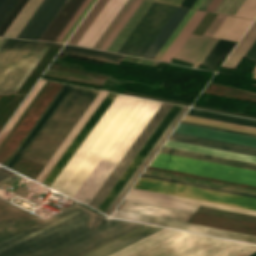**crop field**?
Instances as JSON below:
<instances>
[{"mask_svg": "<svg viewBox=\"0 0 256 256\" xmlns=\"http://www.w3.org/2000/svg\"><path fill=\"white\" fill-rule=\"evenodd\" d=\"M160 105L118 95L51 188L88 204Z\"/></svg>", "mask_w": 256, "mask_h": 256, "instance_id": "crop-field-1", "label": "crop field"}, {"mask_svg": "<svg viewBox=\"0 0 256 256\" xmlns=\"http://www.w3.org/2000/svg\"><path fill=\"white\" fill-rule=\"evenodd\" d=\"M256 246L164 228L110 256H249Z\"/></svg>", "mask_w": 256, "mask_h": 256, "instance_id": "crop-field-2", "label": "crop field"}, {"mask_svg": "<svg viewBox=\"0 0 256 256\" xmlns=\"http://www.w3.org/2000/svg\"><path fill=\"white\" fill-rule=\"evenodd\" d=\"M102 217L75 205L0 242V256H24Z\"/></svg>", "mask_w": 256, "mask_h": 256, "instance_id": "crop-field-3", "label": "crop field"}, {"mask_svg": "<svg viewBox=\"0 0 256 256\" xmlns=\"http://www.w3.org/2000/svg\"><path fill=\"white\" fill-rule=\"evenodd\" d=\"M97 93L73 86L22 158L44 165Z\"/></svg>", "mask_w": 256, "mask_h": 256, "instance_id": "crop-field-4", "label": "crop field"}, {"mask_svg": "<svg viewBox=\"0 0 256 256\" xmlns=\"http://www.w3.org/2000/svg\"><path fill=\"white\" fill-rule=\"evenodd\" d=\"M141 225L105 217L27 256H80Z\"/></svg>", "mask_w": 256, "mask_h": 256, "instance_id": "crop-field-5", "label": "crop field"}, {"mask_svg": "<svg viewBox=\"0 0 256 256\" xmlns=\"http://www.w3.org/2000/svg\"><path fill=\"white\" fill-rule=\"evenodd\" d=\"M6 39L1 38L0 47ZM51 43L7 39L0 49V94L13 90L43 45Z\"/></svg>", "mask_w": 256, "mask_h": 256, "instance_id": "crop-field-6", "label": "crop field"}, {"mask_svg": "<svg viewBox=\"0 0 256 256\" xmlns=\"http://www.w3.org/2000/svg\"><path fill=\"white\" fill-rule=\"evenodd\" d=\"M150 165L256 185V171L203 162L188 158L158 153Z\"/></svg>", "mask_w": 256, "mask_h": 256, "instance_id": "crop-field-7", "label": "crop field"}, {"mask_svg": "<svg viewBox=\"0 0 256 256\" xmlns=\"http://www.w3.org/2000/svg\"><path fill=\"white\" fill-rule=\"evenodd\" d=\"M134 188L182 196L256 211V199L140 177Z\"/></svg>", "mask_w": 256, "mask_h": 256, "instance_id": "crop-field-8", "label": "crop field"}, {"mask_svg": "<svg viewBox=\"0 0 256 256\" xmlns=\"http://www.w3.org/2000/svg\"><path fill=\"white\" fill-rule=\"evenodd\" d=\"M176 9L153 2L118 52L142 57Z\"/></svg>", "mask_w": 256, "mask_h": 256, "instance_id": "crop-field-9", "label": "crop field"}, {"mask_svg": "<svg viewBox=\"0 0 256 256\" xmlns=\"http://www.w3.org/2000/svg\"><path fill=\"white\" fill-rule=\"evenodd\" d=\"M172 107L171 104H165L162 103V105L159 107V109L156 111L154 116L151 118V120L148 122L146 127L143 129V131L140 133L138 138L135 140V142L132 144L130 149L127 151V153L124 155V157L121 159L119 164L116 166V168L113 170L111 175L108 177V179L105 181L103 186L100 188V190L97 192L95 197L92 199V201L89 203V206L97 209V207L100 205V203L103 201V199L106 197L108 192L111 190V188L114 186V184L117 182L119 177L122 175V173L125 171V169L128 167L130 162L133 160V158L136 156V154L139 152L141 147L144 145V143L147 141V139L150 137L152 132L155 130V128L158 126V124L161 122L163 117L166 115V113L169 111V109Z\"/></svg>", "mask_w": 256, "mask_h": 256, "instance_id": "crop-field-10", "label": "crop field"}, {"mask_svg": "<svg viewBox=\"0 0 256 256\" xmlns=\"http://www.w3.org/2000/svg\"><path fill=\"white\" fill-rule=\"evenodd\" d=\"M126 200L194 213L199 205L256 215L255 211L131 188Z\"/></svg>", "mask_w": 256, "mask_h": 256, "instance_id": "crop-field-11", "label": "crop field"}, {"mask_svg": "<svg viewBox=\"0 0 256 256\" xmlns=\"http://www.w3.org/2000/svg\"><path fill=\"white\" fill-rule=\"evenodd\" d=\"M112 216L153 223L157 225L167 226V227L186 230V231H192V232H197L202 234H208V235H213L218 237L256 243V236L232 232V231H226V230H221V229H216V228H211V227H206V226H201V225H196L191 223L178 222V221L146 216L141 214H135V213L119 211V210H116Z\"/></svg>", "mask_w": 256, "mask_h": 256, "instance_id": "crop-field-12", "label": "crop field"}, {"mask_svg": "<svg viewBox=\"0 0 256 256\" xmlns=\"http://www.w3.org/2000/svg\"><path fill=\"white\" fill-rule=\"evenodd\" d=\"M180 109H181L180 106L173 105V107L170 109V111L164 117L162 122L159 124V126L156 128V130L153 132L151 137L148 139V141L142 147L140 152L137 154V156L131 162L129 167L126 169V171L120 177L118 182L115 184V186L109 192V194L107 195V197L104 199V201L101 203V205L98 207L97 210L104 213V211L107 209V207L110 205V203L116 197V195L119 193L121 188L124 186V184L130 178V176L133 174L135 169L138 167V165L141 163V161L144 159V157L147 155V153L150 151L152 146L155 144V142L158 140V138L161 136V134L164 132L166 127L169 125V123L172 121V119L175 117V115L178 113V111Z\"/></svg>", "mask_w": 256, "mask_h": 256, "instance_id": "crop-field-13", "label": "crop field"}, {"mask_svg": "<svg viewBox=\"0 0 256 256\" xmlns=\"http://www.w3.org/2000/svg\"><path fill=\"white\" fill-rule=\"evenodd\" d=\"M117 96V94L108 93V95L105 97V99L102 101V103L99 105V107L96 109L94 114L91 116V118L88 120V122L85 124V126L82 128L80 133L77 135V137L74 139V141L71 143L69 148L66 150V152L63 154V156L60 158V160L57 162L55 167L52 169V171L49 173V175L46 177V179L43 181V184L50 187V185L53 183V181L56 179V177L59 175L61 170L64 168V166L67 164V162L70 160L72 155L75 153V151L78 149V147L81 145L83 140L86 138V136L89 134V132L92 130V128L95 126L97 121L100 119V117L103 115V113L106 111L108 106L111 104V102L114 100V98Z\"/></svg>", "mask_w": 256, "mask_h": 256, "instance_id": "crop-field-14", "label": "crop field"}, {"mask_svg": "<svg viewBox=\"0 0 256 256\" xmlns=\"http://www.w3.org/2000/svg\"><path fill=\"white\" fill-rule=\"evenodd\" d=\"M40 221L42 220L0 200V241Z\"/></svg>", "mask_w": 256, "mask_h": 256, "instance_id": "crop-field-15", "label": "crop field"}, {"mask_svg": "<svg viewBox=\"0 0 256 256\" xmlns=\"http://www.w3.org/2000/svg\"><path fill=\"white\" fill-rule=\"evenodd\" d=\"M66 0H44L17 37L38 40Z\"/></svg>", "mask_w": 256, "mask_h": 256, "instance_id": "crop-field-16", "label": "crop field"}, {"mask_svg": "<svg viewBox=\"0 0 256 256\" xmlns=\"http://www.w3.org/2000/svg\"><path fill=\"white\" fill-rule=\"evenodd\" d=\"M126 1L109 0L77 45L93 48Z\"/></svg>", "mask_w": 256, "mask_h": 256, "instance_id": "crop-field-17", "label": "crop field"}, {"mask_svg": "<svg viewBox=\"0 0 256 256\" xmlns=\"http://www.w3.org/2000/svg\"><path fill=\"white\" fill-rule=\"evenodd\" d=\"M106 95H107L106 92L99 91V93L96 95V97L90 103L88 108L85 110V112L79 118L77 123L74 125V127L71 129V131L68 133L66 138L63 140V142L57 148L55 153L52 155V157L49 159V161L46 163V165L38 173V175L35 178V179H37V181L42 183V181L45 179V177L48 175V173L54 167L56 162L59 160V158L65 152V150L68 148L70 143L73 141V139L79 133L81 128L84 126V124L87 122V120L90 118V116L93 114L95 109L98 107V105L101 103V101L104 99V97Z\"/></svg>", "mask_w": 256, "mask_h": 256, "instance_id": "crop-field-18", "label": "crop field"}, {"mask_svg": "<svg viewBox=\"0 0 256 256\" xmlns=\"http://www.w3.org/2000/svg\"><path fill=\"white\" fill-rule=\"evenodd\" d=\"M217 41L216 38L191 34L175 59L192 63L197 67L201 65Z\"/></svg>", "mask_w": 256, "mask_h": 256, "instance_id": "crop-field-19", "label": "crop field"}, {"mask_svg": "<svg viewBox=\"0 0 256 256\" xmlns=\"http://www.w3.org/2000/svg\"><path fill=\"white\" fill-rule=\"evenodd\" d=\"M160 229H162V227L143 225L82 256H108Z\"/></svg>", "mask_w": 256, "mask_h": 256, "instance_id": "crop-field-20", "label": "crop field"}, {"mask_svg": "<svg viewBox=\"0 0 256 256\" xmlns=\"http://www.w3.org/2000/svg\"><path fill=\"white\" fill-rule=\"evenodd\" d=\"M188 110L186 107H182V109L179 111V113L176 115V117L173 119V121L170 123V125L167 127L165 132L162 134V136L159 138V140L156 142V144L153 146L151 151L148 153V155L145 157V159L142 161V163L139 165V167L136 169L134 174L131 176V178L128 180V182L125 184V186L122 188L120 193L117 195V197L114 199V201L111 203V205L108 207V209L105 211V214L109 215L113 212V210L116 208V206L119 204L121 199L124 197V195L127 193V191L130 189L132 184L135 182V180L138 178V176L141 174L143 169L146 167V165L149 163V161L152 159V157L155 155L157 150L160 148V146L163 144V142L166 140L168 135L171 133V131L174 129V127L177 125L179 120L182 118V116L185 114V112Z\"/></svg>", "mask_w": 256, "mask_h": 256, "instance_id": "crop-field-21", "label": "crop field"}, {"mask_svg": "<svg viewBox=\"0 0 256 256\" xmlns=\"http://www.w3.org/2000/svg\"><path fill=\"white\" fill-rule=\"evenodd\" d=\"M71 88H72L71 85L64 84V86L61 88L59 93L56 95V97L53 99L51 104L48 106V108L45 110L43 115L40 117L38 122L35 124V126L32 128L30 133L27 135L25 140L19 146L17 151L14 153L12 158L6 164V167L12 169V167L15 165V163L18 161V159L24 153L26 148L29 146V144L32 142V140L35 138V136L38 134V132L43 127V125L46 123V121L49 119V117L52 115V113L55 111L57 106L60 104V102L63 100V98L66 96V94L69 92V90Z\"/></svg>", "mask_w": 256, "mask_h": 256, "instance_id": "crop-field-22", "label": "crop field"}, {"mask_svg": "<svg viewBox=\"0 0 256 256\" xmlns=\"http://www.w3.org/2000/svg\"><path fill=\"white\" fill-rule=\"evenodd\" d=\"M176 132L256 146V137L179 123Z\"/></svg>", "mask_w": 256, "mask_h": 256, "instance_id": "crop-field-23", "label": "crop field"}, {"mask_svg": "<svg viewBox=\"0 0 256 256\" xmlns=\"http://www.w3.org/2000/svg\"><path fill=\"white\" fill-rule=\"evenodd\" d=\"M169 139L202 145V146L213 147V148H219V149H224L229 151L256 155V147H250V146L229 143V142H224L219 140H213V139H208L203 137H197V136H192L187 134L173 132L172 135L169 137Z\"/></svg>", "mask_w": 256, "mask_h": 256, "instance_id": "crop-field-24", "label": "crop field"}, {"mask_svg": "<svg viewBox=\"0 0 256 256\" xmlns=\"http://www.w3.org/2000/svg\"><path fill=\"white\" fill-rule=\"evenodd\" d=\"M119 210H125L130 212H136L141 214H147L157 217H163L168 219H174L179 221L187 222L188 219L191 217V213L131 202L123 200L121 205L118 207Z\"/></svg>", "mask_w": 256, "mask_h": 256, "instance_id": "crop-field-25", "label": "crop field"}, {"mask_svg": "<svg viewBox=\"0 0 256 256\" xmlns=\"http://www.w3.org/2000/svg\"><path fill=\"white\" fill-rule=\"evenodd\" d=\"M84 0H68L39 40L54 41Z\"/></svg>", "mask_w": 256, "mask_h": 256, "instance_id": "crop-field-26", "label": "crop field"}, {"mask_svg": "<svg viewBox=\"0 0 256 256\" xmlns=\"http://www.w3.org/2000/svg\"><path fill=\"white\" fill-rule=\"evenodd\" d=\"M160 152L166 153V154L182 156V157L198 159V160H203V161L224 164V165H230V166H235V167H240V168L256 170L255 163L239 161V160H234V159H229V158H224V157H218V156L202 154V153H197V152H192V151H186V150H181V149H176V148H170V147H165V146H162Z\"/></svg>", "mask_w": 256, "mask_h": 256, "instance_id": "crop-field-27", "label": "crop field"}, {"mask_svg": "<svg viewBox=\"0 0 256 256\" xmlns=\"http://www.w3.org/2000/svg\"><path fill=\"white\" fill-rule=\"evenodd\" d=\"M188 11L187 8L178 7L143 57L154 59Z\"/></svg>", "mask_w": 256, "mask_h": 256, "instance_id": "crop-field-28", "label": "crop field"}, {"mask_svg": "<svg viewBox=\"0 0 256 256\" xmlns=\"http://www.w3.org/2000/svg\"><path fill=\"white\" fill-rule=\"evenodd\" d=\"M60 53L80 56V57H85V58H90V59H95L100 61H106V62H111L116 64H119L124 57V55H121V54L110 53V52L78 47L73 45H65V47L61 50Z\"/></svg>", "mask_w": 256, "mask_h": 256, "instance_id": "crop-field-29", "label": "crop field"}, {"mask_svg": "<svg viewBox=\"0 0 256 256\" xmlns=\"http://www.w3.org/2000/svg\"><path fill=\"white\" fill-rule=\"evenodd\" d=\"M206 14L205 11H199L196 10V12L193 14V16L190 18L188 23L185 25V27L182 29L180 34L177 36L175 41L172 43V45L169 47L167 52L164 54V56L161 58L162 61L171 62V60L174 58V56L177 54L179 49L182 47V45L185 43L187 38L190 36L192 31L195 29V27L198 25L200 20L203 18V16Z\"/></svg>", "mask_w": 256, "mask_h": 256, "instance_id": "crop-field-30", "label": "crop field"}, {"mask_svg": "<svg viewBox=\"0 0 256 256\" xmlns=\"http://www.w3.org/2000/svg\"><path fill=\"white\" fill-rule=\"evenodd\" d=\"M252 21L227 16L214 37L238 41Z\"/></svg>", "mask_w": 256, "mask_h": 256, "instance_id": "crop-field-31", "label": "crop field"}, {"mask_svg": "<svg viewBox=\"0 0 256 256\" xmlns=\"http://www.w3.org/2000/svg\"><path fill=\"white\" fill-rule=\"evenodd\" d=\"M151 4H152L151 1L143 0V2L140 4V6L137 8V10L134 12V14L131 16V18L128 20V22L125 24V26L119 32V34L116 36V38L110 44V46L107 48L108 51L117 52V50L123 44L125 39L131 33L133 28L136 26L138 21L141 19V17L144 15V13L146 12V10L149 8V6Z\"/></svg>", "mask_w": 256, "mask_h": 256, "instance_id": "crop-field-32", "label": "crop field"}, {"mask_svg": "<svg viewBox=\"0 0 256 256\" xmlns=\"http://www.w3.org/2000/svg\"><path fill=\"white\" fill-rule=\"evenodd\" d=\"M256 39V20L242 37L240 42L228 56L226 61L223 63V67L234 69L249 47Z\"/></svg>", "mask_w": 256, "mask_h": 256, "instance_id": "crop-field-33", "label": "crop field"}, {"mask_svg": "<svg viewBox=\"0 0 256 256\" xmlns=\"http://www.w3.org/2000/svg\"><path fill=\"white\" fill-rule=\"evenodd\" d=\"M164 145L165 146H170V147L186 149V150L202 152V153L218 155V156H224V157H229V158H234V159H240V160H245V161H250V162H255L256 163V156H251V155H246V154L229 152V151L213 149V148H208V147H202V146L186 144V143L170 141V140H167Z\"/></svg>", "mask_w": 256, "mask_h": 256, "instance_id": "crop-field-34", "label": "crop field"}, {"mask_svg": "<svg viewBox=\"0 0 256 256\" xmlns=\"http://www.w3.org/2000/svg\"><path fill=\"white\" fill-rule=\"evenodd\" d=\"M42 1L43 0H28L3 36L16 37Z\"/></svg>", "mask_w": 256, "mask_h": 256, "instance_id": "crop-field-35", "label": "crop field"}, {"mask_svg": "<svg viewBox=\"0 0 256 256\" xmlns=\"http://www.w3.org/2000/svg\"><path fill=\"white\" fill-rule=\"evenodd\" d=\"M235 42L219 39L205 61L202 63L207 69L214 70L218 68L222 60L228 55L235 46Z\"/></svg>", "mask_w": 256, "mask_h": 256, "instance_id": "crop-field-36", "label": "crop field"}, {"mask_svg": "<svg viewBox=\"0 0 256 256\" xmlns=\"http://www.w3.org/2000/svg\"><path fill=\"white\" fill-rule=\"evenodd\" d=\"M183 120L256 134V128L247 127V126H241V125L225 123V122H220V121H215V120H209V119H204V118H199V117H193V116H188V115H185Z\"/></svg>", "mask_w": 256, "mask_h": 256, "instance_id": "crop-field-37", "label": "crop field"}, {"mask_svg": "<svg viewBox=\"0 0 256 256\" xmlns=\"http://www.w3.org/2000/svg\"><path fill=\"white\" fill-rule=\"evenodd\" d=\"M108 0H98L95 6L92 8V10L89 12L87 17L84 19L82 24L79 26V28L76 30L74 35L71 37V39L68 41L69 44L76 45V43L79 41V39L82 37L84 32L87 30V28L90 26L92 21L95 19L97 14L100 12V10L103 8L105 3Z\"/></svg>", "mask_w": 256, "mask_h": 256, "instance_id": "crop-field-38", "label": "crop field"}, {"mask_svg": "<svg viewBox=\"0 0 256 256\" xmlns=\"http://www.w3.org/2000/svg\"><path fill=\"white\" fill-rule=\"evenodd\" d=\"M191 109L198 110V109H193V108H191ZM192 110H189V112H188L189 115L200 116V117H205V118H210V119H216V120L256 127V122H251V121H256V120L246 119V118H241V117H236V116H230V115H225V114H220V113H214V112H209V111H204V110H198V111H203V112H208V113H214V114H219V115H224V116H230V117H235V118H240V119L251 120V121H246V120H240V119L224 117V116H219V115H214V114H208V113H203V112H198V111H192Z\"/></svg>", "mask_w": 256, "mask_h": 256, "instance_id": "crop-field-39", "label": "crop field"}, {"mask_svg": "<svg viewBox=\"0 0 256 256\" xmlns=\"http://www.w3.org/2000/svg\"><path fill=\"white\" fill-rule=\"evenodd\" d=\"M27 0H16V2L13 4L11 9L8 11L6 16L3 18V20L0 22V36L5 32V30L8 28L10 23L13 21V19L16 17L18 12L21 10L23 5L26 3Z\"/></svg>", "mask_w": 256, "mask_h": 256, "instance_id": "crop-field-40", "label": "crop field"}, {"mask_svg": "<svg viewBox=\"0 0 256 256\" xmlns=\"http://www.w3.org/2000/svg\"><path fill=\"white\" fill-rule=\"evenodd\" d=\"M244 1L245 0H222L214 12L234 16Z\"/></svg>", "mask_w": 256, "mask_h": 256, "instance_id": "crop-field-41", "label": "crop field"}, {"mask_svg": "<svg viewBox=\"0 0 256 256\" xmlns=\"http://www.w3.org/2000/svg\"><path fill=\"white\" fill-rule=\"evenodd\" d=\"M142 2V0H136L133 5L130 7L128 12L125 14V16L122 18L120 23L117 25L115 30L112 32V34L109 36L107 41L104 43V45L101 47V49L106 50V48L109 46V44L112 42V40L115 38V36L118 34V32L121 30V28L124 26V24L127 22V20L130 18V16L133 14V12L136 10V8L139 6V4Z\"/></svg>", "mask_w": 256, "mask_h": 256, "instance_id": "crop-field-42", "label": "crop field"}, {"mask_svg": "<svg viewBox=\"0 0 256 256\" xmlns=\"http://www.w3.org/2000/svg\"><path fill=\"white\" fill-rule=\"evenodd\" d=\"M195 12V10L190 9V11L187 13V15L184 17V19L182 20V22L179 24V26L176 28V30L174 31V33L171 35V37L169 38V40L166 42V44L163 46V48L161 49V51L158 53V55L155 57V59L160 60V58L163 56V54L166 52V50L168 49V47L171 45V43L174 41V39L176 38V36L179 34V32L181 31V29L184 27V25L187 23V21L189 20V18L192 16V14Z\"/></svg>", "mask_w": 256, "mask_h": 256, "instance_id": "crop-field-43", "label": "crop field"}, {"mask_svg": "<svg viewBox=\"0 0 256 256\" xmlns=\"http://www.w3.org/2000/svg\"><path fill=\"white\" fill-rule=\"evenodd\" d=\"M235 16L254 19L256 16V0H246Z\"/></svg>", "mask_w": 256, "mask_h": 256, "instance_id": "crop-field-44", "label": "crop field"}, {"mask_svg": "<svg viewBox=\"0 0 256 256\" xmlns=\"http://www.w3.org/2000/svg\"><path fill=\"white\" fill-rule=\"evenodd\" d=\"M142 176L143 177H148V178H154V179H159V180H164V181H170V182H175V183H180V184H185V185H191V186H196V187L212 189V190H217V191L228 192V193H233V194H238V195H243V196H249V197L256 198V195H251V194H245V193H240V192H235V191H230V190H224V189H219V188H214V187H208V186H203V185H198V184H193V183H187V182H182V181H177V180H172V179H166V178H161V177H156V176H150V175H145V174H142Z\"/></svg>", "mask_w": 256, "mask_h": 256, "instance_id": "crop-field-45", "label": "crop field"}, {"mask_svg": "<svg viewBox=\"0 0 256 256\" xmlns=\"http://www.w3.org/2000/svg\"><path fill=\"white\" fill-rule=\"evenodd\" d=\"M90 2L91 0L84 1V3L75 13V15L71 18V20L68 22V24L65 26V28L62 30V32L59 34L55 41L61 42V40L64 38V36L67 34V32L70 30V28L73 26V24L76 22V20L79 18V16L82 14V12L85 10V8L88 6Z\"/></svg>", "mask_w": 256, "mask_h": 256, "instance_id": "crop-field-46", "label": "crop field"}, {"mask_svg": "<svg viewBox=\"0 0 256 256\" xmlns=\"http://www.w3.org/2000/svg\"><path fill=\"white\" fill-rule=\"evenodd\" d=\"M226 18L225 15H220L218 14L215 19L213 20V22L211 23V25L208 27V29L206 30V32L204 33L205 36H211L213 37V35L215 34V32L217 31V29L219 28V26L222 24V22L224 21V19Z\"/></svg>", "mask_w": 256, "mask_h": 256, "instance_id": "crop-field-47", "label": "crop field"}, {"mask_svg": "<svg viewBox=\"0 0 256 256\" xmlns=\"http://www.w3.org/2000/svg\"><path fill=\"white\" fill-rule=\"evenodd\" d=\"M15 2V0H5L2 5L0 6V21L5 16L7 11L10 9L12 4Z\"/></svg>", "mask_w": 256, "mask_h": 256, "instance_id": "crop-field-48", "label": "crop field"}, {"mask_svg": "<svg viewBox=\"0 0 256 256\" xmlns=\"http://www.w3.org/2000/svg\"><path fill=\"white\" fill-rule=\"evenodd\" d=\"M96 0H92V2L89 4V6L86 8V10L83 12L81 17L78 19V21L75 23V25L72 27V29L69 31V33L66 35V37L63 39V43L68 39V37L71 35V33L74 31V29L77 27V25L80 23V21L83 19V17L86 15V13L89 11V9L92 7V5L95 3Z\"/></svg>", "mask_w": 256, "mask_h": 256, "instance_id": "crop-field-49", "label": "crop field"}, {"mask_svg": "<svg viewBox=\"0 0 256 256\" xmlns=\"http://www.w3.org/2000/svg\"><path fill=\"white\" fill-rule=\"evenodd\" d=\"M245 57L256 60V41L251 46V48L248 50V52L245 54Z\"/></svg>", "mask_w": 256, "mask_h": 256, "instance_id": "crop-field-50", "label": "crop field"}, {"mask_svg": "<svg viewBox=\"0 0 256 256\" xmlns=\"http://www.w3.org/2000/svg\"><path fill=\"white\" fill-rule=\"evenodd\" d=\"M181 122H182V123H187V124H193V125L203 126V127H209V128L219 129V130H225V131L235 132V133H241V134H246V135H251V136H256V135H253V134H247V133H242V132H237V131H232V130H226V129L216 128V127H211V126H205V125H200V124H195V123H189V122H184V121H181Z\"/></svg>", "mask_w": 256, "mask_h": 256, "instance_id": "crop-field-51", "label": "crop field"}, {"mask_svg": "<svg viewBox=\"0 0 256 256\" xmlns=\"http://www.w3.org/2000/svg\"><path fill=\"white\" fill-rule=\"evenodd\" d=\"M12 174H14V173L0 167V180L4 179Z\"/></svg>", "mask_w": 256, "mask_h": 256, "instance_id": "crop-field-52", "label": "crop field"}, {"mask_svg": "<svg viewBox=\"0 0 256 256\" xmlns=\"http://www.w3.org/2000/svg\"><path fill=\"white\" fill-rule=\"evenodd\" d=\"M220 1L221 0H212V2L209 4L206 10L213 12V10L216 8V6L219 4Z\"/></svg>", "mask_w": 256, "mask_h": 256, "instance_id": "crop-field-53", "label": "crop field"}, {"mask_svg": "<svg viewBox=\"0 0 256 256\" xmlns=\"http://www.w3.org/2000/svg\"><path fill=\"white\" fill-rule=\"evenodd\" d=\"M195 1L196 0H183L180 5L191 8Z\"/></svg>", "mask_w": 256, "mask_h": 256, "instance_id": "crop-field-54", "label": "crop field"}, {"mask_svg": "<svg viewBox=\"0 0 256 256\" xmlns=\"http://www.w3.org/2000/svg\"><path fill=\"white\" fill-rule=\"evenodd\" d=\"M211 2V0H205L202 5L199 7L201 10H205V8L208 6V4Z\"/></svg>", "mask_w": 256, "mask_h": 256, "instance_id": "crop-field-55", "label": "crop field"}, {"mask_svg": "<svg viewBox=\"0 0 256 256\" xmlns=\"http://www.w3.org/2000/svg\"><path fill=\"white\" fill-rule=\"evenodd\" d=\"M203 1H204V0H197L196 3L193 5L192 8L198 9V7L201 5V3H202Z\"/></svg>", "mask_w": 256, "mask_h": 256, "instance_id": "crop-field-56", "label": "crop field"}, {"mask_svg": "<svg viewBox=\"0 0 256 256\" xmlns=\"http://www.w3.org/2000/svg\"><path fill=\"white\" fill-rule=\"evenodd\" d=\"M251 73L253 74L252 78H253V79H256V66H255V68L252 70Z\"/></svg>", "mask_w": 256, "mask_h": 256, "instance_id": "crop-field-57", "label": "crop field"}, {"mask_svg": "<svg viewBox=\"0 0 256 256\" xmlns=\"http://www.w3.org/2000/svg\"><path fill=\"white\" fill-rule=\"evenodd\" d=\"M3 2V0H0V4Z\"/></svg>", "mask_w": 256, "mask_h": 256, "instance_id": "crop-field-58", "label": "crop field"}, {"mask_svg": "<svg viewBox=\"0 0 256 256\" xmlns=\"http://www.w3.org/2000/svg\"><path fill=\"white\" fill-rule=\"evenodd\" d=\"M152 1H155V0H152Z\"/></svg>", "mask_w": 256, "mask_h": 256, "instance_id": "crop-field-59", "label": "crop field"}]
</instances>
